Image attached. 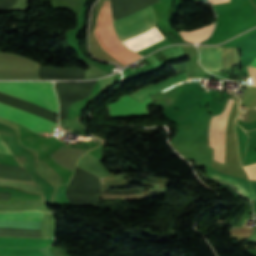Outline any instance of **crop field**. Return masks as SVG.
I'll return each instance as SVG.
<instances>
[{"mask_svg":"<svg viewBox=\"0 0 256 256\" xmlns=\"http://www.w3.org/2000/svg\"><path fill=\"white\" fill-rule=\"evenodd\" d=\"M43 212L0 213V219L42 221Z\"/></svg>","mask_w":256,"mask_h":256,"instance_id":"5a996713","label":"crop field"},{"mask_svg":"<svg viewBox=\"0 0 256 256\" xmlns=\"http://www.w3.org/2000/svg\"><path fill=\"white\" fill-rule=\"evenodd\" d=\"M0 91L57 112L52 82H0ZM0 116L18 121L35 132L52 133L58 126L44 118L2 103Z\"/></svg>","mask_w":256,"mask_h":256,"instance_id":"8a807250","label":"crop field"},{"mask_svg":"<svg viewBox=\"0 0 256 256\" xmlns=\"http://www.w3.org/2000/svg\"><path fill=\"white\" fill-rule=\"evenodd\" d=\"M0 150L4 151V152H7V153H10L1 139H0Z\"/></svg>","mask_w":256,"mask_h":256,"instance_id":"28ad6ade","label":"crop field"},{"mask_svg":"<svg viewBox=\"0 0 256 256\" xmlns=\"http://www.w3.org/2000/svg\"><path fill=\"white\" fill-rule=\"evenodd\" d=\"M240 105L252 108L256 107V87H246Z\"/></svg>","mask_w":256,"mask_h":256,"instance_id":"3316defc","label":"crop field"},{"mask_svg":"<svg viewBox=\"0 0 256 256\" xmlns=\"http://www.w3.org/2000/svg\"><path fill=\"white\" fill-rule=\"evenodd\" d=\"M200 63L209 71L221 70V48L199 46Z\"/></svg>","mask_w":256,"mask_h":256,"instance_id":"f4fd0767","label":"crop field"},{"mask_svg":"<svg viewBox=\"0 0 256 256\" xmlns=\"http://www.w3.org/2000/svg\"><path fill=\"white\" fill-rule=\"evenodd\" d=\"M209 174L213 177L221 178V179H225L227 181L233 182V184L237 187V189L240 192H242L244 195L248 196L251 200L255 199L251 190H250V185H249V182L247 180L231 177V176L225 175V174H221L216 170L209 173Z\"/></svg>","mask_w":256,"mask_h":256,"instance_id":"d8731c3e","label":"crop field"},{"mask_svg":"<svg viewBox=\"0 0 256 256\" xmlns=\"http://www.w3.org/2000/svg\"><path fill=\"white\" fill-rule=\"evenodd\" d=\"M249 65L256 67V57L252 60V62Z\"/></svg>","mask_w":256,"mask_h":256,"instance_id":"22f410ed","label":"crop field"},{"mask_svg":"<svg viewBox=\"0 0 256 256\" xmlns=\"http://www.w3.org/2000/svg\"><path fill=\"white\" fill-rule=\"evenodd\" d=\"M53 239L43 238H8L0 237V246L8 247H26V248H44L48 246Z\"/></svg>","mask_w":256,"mask_h":256,"instance_id":"dd49c442","label":"crop field"},{"mask_svg":"<svg viewBox=\"0 0 256 256\" xmlns=\"http://www.w3.org/2000/svg\"><path fill=\"white\" fill-rule=\"evenodd\" d=\"M153 26H155V13L150 6L114 21L116 33L123 40L138 35Z\"/></svg>","mask_w":256,"mask_h":256,"instance_id":"34b2d1b8","label":"crop field"},{"mask_svg":"<svg viewBox=\"0 0 256 256\" xmlns=\"http://www.w3.org/2000/svg\"><path fill=\"white\" fill-rule=\"evenodd\" d=\"M250 184H251L252 189H253V191L255 193V196H256V181H250Z\"/></svg>","mask_w":256,"mask_h":256,"instance_id":"d1516ede","label":"crop field"},{"mask_svg":"<svg viewBox=\"0 0 256 256\" xmlns=\"http://www.w3.org/2000/svg\"><path fill=\"white\" fill-rule=\"evenodd\" d=\"M96 37L106 52L116 58L118 61L128 64L131 61L141 57L125 48L116 36L112 27V18L109 8V1H106L101 8L95 28Z\"/></svg>","mask_w":256,"mask_h":256,"instance_id":"ac0d7876","label":"crop field"},{"mask_svg":"<svg viewBox=\"0 0 256 256\" xmlns=\"http://www.w3.org/2000/svg\"><path fill=\"white\" fill-rule=\"evenodd\" d=\"M149 105H151L150 98L141 103L125 95L116 102L107 105V108L110 117L122 118L149 115L146 108Z\"/></svg>","mask_w":256,"mask_h":256,"instance_id":"412701ff","label":"crop field"},{"mask_svg":"<svg viewBox=\"0 0 256 256\" xmlns=\"http://www.w3.org/2000/svg\"><path fill=\"white\" fill-rule=\"evenodd\" d=\"M185 79H188V76L186 75V73L172 77L170 79H167V80H165L159 84L153 85L151 87L142 89L131 96L142 102L143 100H145L147 97H149L151 94L155 93L156 91H158L172 83H176V82H179V81H182Z\"/></svg>","mask_w":256,"mask_h":256,"instance_id":"e52e79f7","label":"crop field"}]
</instances>
